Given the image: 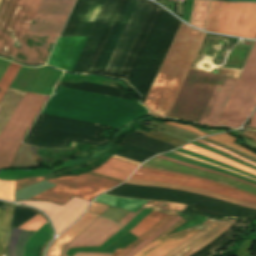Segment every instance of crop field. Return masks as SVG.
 <instances>
[{"mask_svg":"<svg viewBox=\"0 0 256 256\" xmlns=\"http://www.w3.org/2000/svg\"><path fill=\"white\" fill-rule=\"evenodd\" d=\"M207 34L181 23L143 103L166 117Z\"/></svg>","mask_w":256,"mask_h":256,"instance_id":"1","label":"crop field"},{"mask_svg":"<svg viewBox=\"0 0 256 256\" xmlns=\"http://www.w3.org/2000/svg\"><path fill=\"white\" fill-rule=\"evenodd\" d=\"M219 75L191 69L168 116L198 122ZM237 79L221 76L198 123L214 126Z\"/></svg>","mask_w":256,"mask_h":256,"instance_id":"2","label":"crop field"},{"mask_svg":"<svg viewBox=\"0 0 256 256\" xmlns=\"http://www.w3.org/2000/svg\"><path fill=\"white\" fill-rule=\"evenodd\" d=\"M75 0H43L15 56L26 64L45 63Z\"/></svg>","mask_w":256,"mask_h":256,"instance_id":"3","label":"crop field"},{"mask_svg":"<svg viewBox=\"0 0 256 256\" xmlns=\"http://www.w3.org/2000/svg\"><path fill=\"white\" fill-rule=\"evenodd\" d=\"M41 0H3L0 6V55L14 58Z\"/></svg>","mask_w":256,"mask_h":256,"instance_id":"4","label":"crop field"},{"mask_svg":"<svg viewBox=\"0 0 256 256\" xmlns=\"http://www.w3.org/2000/svg\"><path fill=\"white\" fill-rule=\"evenodd\" d=\"M226 6L211 1L205 30L223 33ZM224 34L256 39V4L228 2Z\"/></svg>","mask_w":256,"mask_h":256,"instance_id":"5","label":"crop field"},{"mask_svg":"<svg viewBox=\"0 0 256 256\" xmlns=\"http://www.w3.org/2000/svg\"><path fill=\"white\" fill-rule=\"evenodd\" d=\"M256 106V43L216 125L237 128Z\"/></svg>","mask_w":256,"mask_h":256,"instance_id":"6","label":"crop field"},{"mask_svg":"<svg viewBox=\"0 0 256 256\" xmlns=\"http://www.w3.org/2000/svg\"><path fill=\"white\" fill-rule=\"evenodd\" d=\"M47 96L26 92L0 134V168H8L19 143Z\"/></svg>","mask_w":256,"mask_h":256,"instance_id":"7","label":"crop field"},{"mask_svg":"<svg viewBox=\"0 0 256 256\" xmlns=\"http://www.w3.org/2000/svg\"><path fill=\"white\" fill-rule=\"evenodd\" d=\"M57 186L30 199L50 200L59 204L67 203L74 196L91 201L98 194L120 184L107 179L82 174L46 180Z\"/></svg>","mask_w":256,"mask_h":256,"instance_id":"8","label":"crop field"},{"mask_svg":"<svg viewBox=\"0 0 256 256\" xmlns=\"http://www.w3.org/2000/svg\"><path fill=\"white\" fill-rule=\"evenodd\" d=\"M136 172L144 173L143 175L136 174ZM130 178L140 179V180H148V181H156V182H169L174 184H179L187 187L198 188L206 191L215 192L221 195H225L231 198H235L241 201L249 202L252 204H256V197L249 196L247 194H243L234 190H230L218 185H215L211 182L192 179L188 177H183L179 175H172L160 172L149 171L145 169L138 168Z\"/></svg>","mask_w":256,"mask_h":256,"instance_id":"9","label":"crop field"},{"mask_svg":"<svg viewBox=\"0 0 256 256\" xmlns=\"http://www.w3.org/2000/svg\"><path fill=\"white\" fill-rule=\"evenodd\" d=\"M18 203L33 205L44 211L52 220L57 234L73 223L89 204L88 201L76 197L64 206L38 201H23Z\"/></svg>","mask_w":256,"mask_h":256,"instance_id":"10","label":"crop field"},{"mask_svg":"<svg viewBox=\"0 0 256 256\" xmlns=\"http://www.w3.org/2000/svg\"><path fill=\"white\" fill-rule=\"evenodd\" d=\"M213 220H208L201 226H197L194 228L186 229L183 231H180L178 233L166 236L170 232H172L174 229L182 225L184 222L183 219L180 220L178 223H176L174 226H172L170 229H168L165 233H163L160 237H158L156 240H154L152 243L147 245L144 249H142L139 253H137L135 256H164L167 253H169L171 250L176 248L177 246L184 243L186 240L191 238L193 235H195L199 230L204 228L206 225H208ZM162 243L161 245H159ZM159 245L158 247H156ZM156 247L155 249H153ZM151 250L150 252L148 250Z\"/></svg>","mask_w":256,"mask_h":256,"instance_id":"11","label":"crop field"},{"mask_svg":"<svg viewBox=\"0 0 256 256\" xmlns=\"http://www.w3.org/2000/svg\"><path fill=\"white\" fill-rule=\"evenodd\" d=\"M120 229L122 228L115 222L99 217L66 246L62 256H65L68 248L100 246Z\"/></svg>","mask_w":256,"mask_h":256,"instance_id":"12","label":"crop field"},{"mask_svg":"<svg viewBox=\"0 0 256 256\" xmlns=\"http://www.w3.org/2000/svg\"><path fill=\"white\" fill-rule=\"evenodd\" d=\"M98 216L85 212L81 219L56 238L51 244L47 256H60L66 244L87 228Z\"/></svg>","mask_w":256,"mask_h":256,"instance_id":"13","label":"crop field"},{"mask_svg":"<svg viewBox=\"0 0 256 256\" xmlns=\"http://www.w3.org/2000/svg\"><path fill=\"white\" fill-rule=\"evenodd\" d=\"M146 164H151V165H156V166H161V167H165V168H170V169H175V170H180V171H185V172H190V173H194V174H198V175H202V176H206V177H210V178H214V179H218L221 181H224L226 183L238 186L240 188L252 191L256 193V188L249 186L247 184H244L240 181L237 180H233L227 177H223L220 175H216V174H212V173H208V172H204L201 170H197V169H193V168H189V167H185L179 164H175L163 159H159V158H152L151 160L145 162Z\"/></svg>","mask_w":256,"mask_h":256,"instance_id":"14","label":"crop field"},{"mask_svg":"<svg viewBox=\"0 0 256 256\" xmlns=\"http://www.w3.org/2000/svg\"><path fill=\"white\" fill-rule=\"evenodd\" d=\"M138 167V165L130 164L110 157L105 163L98 166L91 172L103 174L116 179L125 181L126 178Z\"/></svg>","mask_w":256,"mask_h":256,"instance_id":"15","label":"crop field"},{"mask_svg":"<svg viewBox=\"0 0 256 256\" xmlns=\"http://www.w3.org/2000/svg\"><path fill=\"white\" fill-rule=\"evenodd\" d=\"M25 92L9 88L0 103V132L22 99Z\"/></svg>","mask_w":256,"mask_h":256,"instance_id":"16","label":"crop field"},{"mask_svg":"<svg viewBox=\"0 0 256 256\" xmlns=\"http://www.w3.org/2000/svg\"><path fill=\"white\" fill-rule=\"evenodd\" d=\"M126 183L139 184V185H151V186H159V187H164V188L179 189V190H183V191H187V192L206 195V196L213 197V198H216V199H220V200H224V201H228V202H232V203H235V204H239V205H243V206H246V207L256 209V205L241 202V201L231 199V198H228V197H225V196H221V195H218V194H214V193H210V192H206V191H201V190H197V189H192V188H187V187H183V186H178V185H174V184L155 183V182H147V181H140V180H133V179L127 180Z\"/></svg>","mask_w":256,"mask_h":256,"instance_id":"17","label":"crop field"},{"mask_svg":"<svg viewBox=\"0 0 256 256\" xmlns=\"http://www.w3.org/2000/svg\"><path fill=\"white\" fill-rule=\"evenodd\" d=\"M52 235L50 224L47 222L31 236L25 246L23 256H38L40 247Z\"/></svg>","mask_w":256,"mask_h":256,"instance_id":"18","label":"crop field"},{"mask_svg":"<svg viewBox=\"0 0 256 256\" xmlns=\"http://www.w3.org/2000/svg\"><path fill=\"white\" fill-rule=\"evenodd\" d=\"M95 202L108 204L120 208H124L128 211L136 213L146 202L144 200H132V199H124V198H117L108 195H100L97 199L94 200Z\"/></svg>","mask_w":256,"mask_h":256,"instance_id":"19","label":"crop field"},{"mask_svg":"<svg viewBox=\"0 0 256 256\" xmlns=\"http://www.w3.org/2000/svg\"><path fill=\"white\" fill-rule=\"evenodd\" d=\"M13 206L0 210V256H7L6 247L10 235Z\"/></svg>","mask_w":256,"mask_h":256,"instance_id":"20","label":"crop field"},{"mask_svg":"<svg viewBox=\"0 0 256 256\" xmlns=\"http://www.w3.org/2000/svg\"><path fill=\"white\" fill-rule=\"evenodd\" d=\"M167 216H168V214L152 211L136 227H134L129 232L140 237L145 232H147L152 227H154L159 222H161Z\"/></svg>","mask_w":256,"mask_h":256,"instance_id":"21","label":"crop field"},{"mask_svg":"<svg viewBox=\"0 0 256 256\" xmlns=\"http://www.w3.org/2000/svg\"><path fill=\"white\" fill-rule=\"evenodd\" d=\"M182 148H185V149H187V150H190V151H193V152L202 154V155H204V156H207V157H210V158H212V159L218 160V161H220V162H222V163H225V164H227V165H229V166H231V167H234V168H237V169L243 170V171H245V172H248V173H251V174L256 175V171H254V170H252V169H250V168H247V167H245V166H243V165H240V164H238V163H236V162H234V161H232V160H230V159H227V158H225V157H222V156L217 155V154H215V153H212V152H210V151H207V150L198 148V147L193 146V145H191V144H188V145H186V146H183Z\"/></svg>","mask_w":256,"mask_h":256,"instance_id":"22","label":"crop field"},{"mask_svg":"<svg viewBox=\"0 0 256 256\" xmlns=\"http://www.w3.org/2000/svg\"><path fill=\"white\" fill-rule=\"evenodd\" d=\"M37 165L31 151V147L21 144L11 166L27 167Z\"/></svg>","mask_w":256,"mask_h":256,"instance_id":"23","label":"crop field"},{"mask_svg":"<svg viewBox=\"0 0 256 256\" xmlns=\"http://www.w3.org/2000/svg\"><path fill=\"white\" fill-rule=\"evenodd\" d=\"M187 205H180L171 202H157L151 201L143 206V208L160 211L168 214L177 215L181 212Z\"/></svg>","mask_w":256,"mask_h":256,"instance_id":"24","label":"crop field"},{"mask_svg":"<svg viewBox=\"0 0 256 256\" xmlns=\"http://www.w3.org/2000/svg\"><path fill=\"white\" fill-rule=\"evenodd\" d=\"M180 219V217H175L173 220H171L170 222H168L166 225H164L162 228H160L157 232H155L153 235H151L150 237H148L146 240H144L143 242H141L140 244H138L136 247H134L127 256H133L135 255V253L139 250H141L143 247H145L147 244H149L151 241H153L156 237H158L159 235H161L164 231H166L168 228H170L172 225H174L176 222H178Z\"/></svg>","mask_w":256,"mask_h":256,"instance_id":"25","label":"crop field"},{"mask_svg":"<svg viewBox=\"0 0 256 256\" xmlns=\"http://www.w3.org/2000/svg\"><path fill=\"white\" fill-rule=\"evenodd\" d=\"M20 68V65L11 63L10 67L8 68L2 80L0 81V99L4 95L6 89L8 88V86L10 85L11 81L13 80V78L15 77Z\"/></svg>","mask_w":256,"mask_h":256,"instance_id":"26","label":"crop field"},{"mask_svg":"<svg viewBox=\"0 0 256 256\" xmlns=\"http://www.w3.org/2000/svg\"><path fill=\"white\" fill-rule=\"evenodd\" d=\"M220 222H222V221L215 220L209 226H207L205 229L199 231L195 236H193L191 239L186 241L184 244H182L181 246H179L178 248H176L175 250H173L172 252H170L166 256H173V255H175L176 253H178L179 251H181L182 249H184L185 247H187L188 245H190L191 243H193L194 241H196L200 237H202L205 234H207L209 231H211Z\"/></svg>","mask_w":256,"mask_h":256,"instance_id":"27","label":"crop field"},{"mask_svg":"<svg viewBox=\"0 0 256 256\" xmlns=\"http://www.w3.org/2000/svg\"><path fill=\"white\" fill-rule=\"evenodd\" d=\"M175 216L173 215H169L167 218H165L161 223H159L157 226H155L153 229H151L150 231H148L147 233H145L143 236H141L139 239H137L136 241H134L131 245H129L128 247H126L119 256H126L127 253L138 243H140L141 241H143L144 239H146L148 236H150L152 233H154L155 231H157L161 226H163L164 224H166L168 221H170L171 219H173Z\"/></svg>","mask_w":256,"mask_h":256,"instance_id":"28","label":"crop field"},{"mask_svg":"<svg viewBox=\"0 0 256 256\" xmlns=\"http://www.w3.org/2000/svg\"><path fill=\"white\" fill-rule=\"evenodd\" d=\"M16 181H0V198L13 201Z\"/></svg>","mask_w":256,"mask_h":256,"instance_id":"29","label":"crop field"},{"mask_svg":"<svg viewBox=\"0 0 256 256\" xmlns=\"http://www.w3.org/2000/svg\"><path fill=\"white\" fill-rule=\"evenodd\" d=\"M135 132L144 134V135H146L148 137H152V138L161 140L163 142L169 143V144L174 145L176 147H179V146H181V145L186 143V142H183V141H180V140H177V139H173V138L167 137V136L162 135L160 133H157V132H155L153 130H151L149 133H147V132H144V131L136 129Z\"/></svg>","mask_w":256,"mask_h":256,"instance_id":"30","label":"crop field"},{"mask_svg":"<svg viewBox=\"0 0 256 256\" xmlns=\"http://www.w3.org/2000/svg\"><path fill=\"white\" fill-rule=\"evenodd\" d=\"M234 222H236V220H230L224 227H222L219 231H217L215 234H213L212 236H210L208 239H206L205 241H203L202 243H200L198 246H196L195 248H193L192 250L188 251L187 253H185L182 256H190L192 254H194L195 252H197L198 250H200L202 247H204L205 245H207L208 243H210L212 240H214L216 237H218L222 232H224L229 226H231Z\"/></svg>","mask_w":256,"mask_h":256,"instance_id":"31","label":"crop field"},{"mask_svg":"<svg viewBox=\"0 0 256 256\" xmlns=\"http://www.w3.org/2000/svg\"><path fill=\"white\" fill-rule=\"evenodd\" d=\"M209 139L214 140V141H218V142H221V143H224V144L229 145V146H231L233 148H236V149H238V150H240L242 152H245V153H247V154H249L251 156L256 157V155L252 154L251 152H249V151H247V150H245V149H243V148L233 144L232 142L234 140H236V138H233V137H231V136H229L227 134L209 137Z\"/></svg>","mask_w":256,"mask_h":256,"instance_id":"32","label":"crop field"},{"mask_svg":"<svg viewBox=\"0 0 256 256\" xmlns=\"http://www.w3.org/2000/svg\"><path fill=\"white\" fill-rule=\"evenodd\" d=\"M229 221V220H228ZM228 221H224L221 224H219L217 227H215L210 233H208L207 235H205L204 237H202L201 239L197 240L196 242H194L193 244H191L190 246H188L187 248H185L184 250H182L181 252H179L178 254H176L175 256H180L183 253L187 252L188 250H190L191 248L195 247L196 245H198L200 242H202L203 240H205L207 237H209L210 235H212L213 233H215L217 230H219L223 225H225Z\"/></svg>","mask_w":256,"mask_h":256,"instance_id":"33","label":"crop field"},{"mask_svg":"<svg viewBox=\"0 0 256 256\" xmlns=\"http://www.w3.org/2000/svg\"><path fill=\"white\" fill-rule=\"evenodd\" d=\"M31 235V232L23 231L21 237L19 236L20 239L16 245V256H22L24 245Z\"/></svg>","mask_w":256,"mask_h":256,"instance_id":"34","label":"crop field"},{"mask_svg":"<svg viewBox=\"0 0 256 256\" xmlns=\"http://www.w3.org/2000/svg\"><path fill=\"white\" fill-rule=\"evenodd\" d=\"M43 179H44L43 177H34V178H26V179L18 180L17 185H16V189L23 188L25 186L36 183V182L41 181Z\"/></svg>","mask_w":256,"mask_h":256,"instance_id":"35","label":"crop field"},{"mask_svg":"<svg viewBox=\"0 0 256 256\" xmlns=\"http://www.w3.org/2000/svg\"><path fill=\"white\" fill-rule=\"evenodd\" d=\"M157 157L163 158V159H166V160L175 162V163H179V164H182V165H185V166H189V167L201 169V170H204V171H208V172L220 174V175H223V176H227V175H224V174H221V173H217V172H214V171H211V170H207V169H204V168H200V167H197V166H193V165H190V164H186V163H183V162H179V161H176V160H172V159H169V158H166V157H162V156H157ZM227 177H230V176H227ZM230 178L237 179V178H234V177H230ZM237 180H240V179H237ZM240 181H242V180H240ZM242 182L247 183V182H245V181H242ZM247 184L252 185V184H250V183H247ZM252 186L256 187L255 185H252Z\"/></svg>","mask_w":256,"mask_h":256,"instance_id":"36","label":"crop field"},{"mask_svg":"<svg viewBox=\"0 0 256 256\" xmlns=\"http://www.w3.org/2000/svg\"><path fill=\"white\" fill-rule=\"evenodd\" d=\"M171 153H174V154H177V155H181V156H184V157H187V158H190V159H193V160L199 161V162H203V163H206V164H209V165H212V166H215V167H219V168H222V169H225V170L231 171V172H233V173H236V174H239V175L245 176V175H243V174H240V173H238V172H235V171L229 170V169L224 168V167H221V166H219V165H216V164H213V163H210V162H207V161H204V160L198 159V158H194V157H191V156H188V155H185V154H182V153L176 152V151H173V152H171ZM245 177H247V176H245ZM248 178H250V177H248ZM250 179H252V178H250ZM253 180H255V179H253Z\"/></svg>","mask_w":256,"mask_h":256,"instance_id":"37","label":"crop field"},{"mask_svg":"<svg viewBox=\"0 0 256 256\" xmlns=\"http://www.w3.org/2000/svg\"><path fill=\"white\" fill-rule=\"evenodd\" d=\"M107 207H108L107 205L92 202V204L90 205L87 211H92L100 215L102 212H104L107 209Z\"/></svg>","mask_w":256,"mask_h":256,"instance_id":"38","label":"crop field"},{"mask_svg":"<svg viewBox=\"0 0 256 256\" xmlns=\"http://www.w3.org/2000/svg\"><path fill=\"white\" fill-rule=\"evenodd\" d=\"M197 141L202 142V143H204V144H207V145H209V146H211V147H214V148H216V149H219V150H221V151H223V152H225V153H227V154H229V155H231V156H233V157H235V158H237V159H239V160H241V161H243V162H246V163L251 164V165H253V166L256 167V164H254V163H252V162H250V161H248V160H246V159H244V158H242V157H240V156H238V155H236V154H234V153H231V152H229V151H227V150H225V149L219 148V147H217V146L211 145V144L206 143V142H203V141H201V140H197Z\"/></svg>","mask_w":256,"mask_h":256,"instance_id":"39","label":"crop field"},{"mask_svg":"<svg viewBox=\"0 0 256 256\" xmlns=\"http://www.w3.org/2000/svg\"><path fill=\"white\" fill-rule=\"evenodd\" d=\"M140 167H141V168H145V169H149V170L161 171V170L151 169V168H147V167H143V166H140ZM161 172H167V171H161ZM168 173L186 175V174L175 173V172H168ZM187 176H191V175H187ZM192 177H196V176H192ZM196 178H200V177H196ZM200 179H204V178H200ZM204 180H207V179H204ZM208 181H211V180H208ZM211 182H213V183H215V184H218V185L225 186V187H229V188H232V189H236V188H233V187H230V186H227V185H224V184L215 182V181H211ZM236 190H239V189H236ZM239 191L244 192V193H247V194H250V195H253V196H256V195H254V194H251V193H248V192H245V191H242V190H239Z\"/></svg>","mask_w":256,"mask_h":256,"instance_id":"40","label":"crop field"},{"mask_svg":"<svg viewBox=\"0 0 256 256\" xmlns=\"http://www.w3.org/2000/svg\"><path fill=\"white\" fill-rule=\"evenodd\" d=\"M163 123H168V124H171V125H174V126L183 128V129H185V130H188V131L197 133V134H199V135H201V136L207 135V134H204V133H202V132H200V131H198V130H196L195 128L190 127V126H185V125H180V124H175V123H170V122H163Z\"/></svg>","mask_w":256,"mask_h":256,"instance_id":"41","label":"crop field"},{"mask_svg":"<svg viewBox=\"0 0 256 256\" xmlns=\"http://www.w3.org/2000/svg\"><path fill=\"white\" fill-rule=\"evenodd\" d=\"M142 208L136 213L129 212L122 220H120L118 223L123 227L127 222H129L135 215H137Z\"/></svg>","mask_w":256,"mask_h":256,"instance_id":"42","label":"crop field"},{"mask_svg":"<svg viewBox=\"0 0 256 256\" xmlns=\"http://www.w3.org/2000/svg\"><path fill=\"white\" fill-rule=\"evenodd\" d=\"M74 256H112L106 253H76Z\"/></svg>","mask_w":256,"mask_h":256,"instance_id":"43","label":"crop field"},{"mask_svg":"<svg viewBox=\"0 0 256 256\" xmlns=\"http://www.w3.org/2000/svg\"><path fill=\"white\" fill-rule=\"evenodd\" d=\"M143 166H147V167H151V168H156V169H161V170H167V171H175V170H170V169H165V168H160V167H156V166H151V165H146V164H143ZM175 172H180V171H175ZM181 173H185V172H181ZM186 174H189V173H186ZM191 175H193V174H191ZM197 176V175H196ZM201 177V176H200ZM205 178V177H204ZM207 179H209V178H207ZM211 180H213V179H211ZM215 181H217V180H215ZM218 182H221V181H218ZM221 183H224V182H221ZM224 184H226V183H224ZM227 185H229V184H227ZM230 186H232V185H230ZM233 187H235V186H233ZM236 188H238V187H236ZM240 189V188H239ZM243 190V189H242ZM246 191V190H245ZM249 192V191H248ZM252 193V192H251ZM255 194V193H254Z\"/></svg>","mask_w":256,"mask_h":256,"instance_id":"44","label":"crop field"},{"mask_svg":"<svg viewBox=\"0 0 256 256\" xmlns=\"http://www.w3.org/2000/svg\"><path fill=\"white\" fill-rule=\"evenodd\" d=\"M241 134L256 141V133L255 132L241 131Z\"/></svg>","mask_w":256,"mask_h":256,"instance_id":"45","label":"crop field"},{"mask_svg":"<svg viewBox=\"0 0 256 256\" xmlns=\"http://www.w3.org/2000/svg\"><path fill=\"white\" fill-rule=\"evenodd\" d=\"M250 126L256 127V112L253 114Z\"/></svg>","mask_w":256,"mask_h":256,"instance_id":"46","label":"crop field"},{"mask_svg":"<svg viewBox=\"0 0 256 256\" xmlns=\"http://www.w3.org/2000/svg\"><path fill=\"white\" fill-rule=\"evenodd\" d=\"M87 174H91V175H95V176H99V177H104V178L112 179V180H115V181L120 182V183L123 182V181H119V180H116V179H113V178H109V177H106V176H102V175H98V174H94V173H90V172H87Z\"/></svg>","mask_w":256,"mask_h":256,"instance_id":"47","label":"crop field"},{"mask_svg":"<svg viewBox=\"0 0 256 256\" xmlns=\"http://www.w3.org/2000/svg\"><path fill=\"white\" fill-rule=\"evenodd\" d=\"M112 157H115V158H118V159H121V160H124V161H128V162L140 165V163H137V162H134V161H131V160H127V159H124V158H121V157H118V156H115V155H113Z\"/></svg>","mask_w":256,"mask_h":256,"instance_id":"48","label":"crop field"},{"mask_svg":"<svg viewBox=\"0 0 256 256\" xmlns=\"http://www.w3.org/2000/svg\"><path fill=\"white\" fill-rule=\"evenodd\" d=\"M121 250H122V249L116 250L113 256H118Z\"/></svg>","mask_w":256,"mask_h":256,"instance_id":"49","label":"crop field"},{"mask_svg":"<svg viewBox=\"0 0 256 256\" xmlns=\"http://www.w3.org/2000/svg\"><path fill=\"white\" fill-rule=\"evenodd\" d=\"M1 1V0H0Z\"/></svg>","mask_w":256,"mask_h":256,"instance_id":"50","label":"crop field"}]
</instances>
